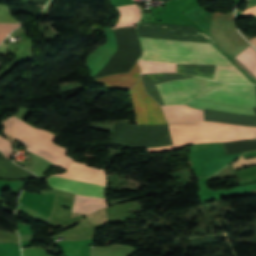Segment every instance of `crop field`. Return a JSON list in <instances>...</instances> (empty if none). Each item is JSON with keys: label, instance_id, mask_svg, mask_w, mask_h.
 Returning <instances> with one entry per match:
<instances>
[{"label": "crop field", "instance_id": "crop-field-5", "mask_svg": "<svg viewBox=\"0 0 256 256\" xmlns=\"http://www.w3.org/2000/svg\"><path fill=\"white\" fill-rule=\"evenodd\" d=\"M253 85L225 84L205 92L198 99L256 109Z\"/></svg>", "mask_w": 256, "mask_h": 256}, {"label": "crop field", "instance_id": "crop-field-6", "mask_svg": "<svg viewBox=\"0 0 256 256\" xmlns=\"http://www.w3.org/2000/svg\"><path fill=\"white\" fill-rule=\"evenodd\" d=\"M57 177H49L47 180L48 185L55 189L63 190L74 194L107 198L106 186L91 183H83Z\"/></svg>", "mask_w": 256, "mask_h": 256}, {"label": "crop field", "instance_id": "crop-field-14", "mask_svg": "<svg viewBox=\"0 0 256 256\" xmlns=\"http://www.w3.org/2000/svg\"><path fill=\"white\" fill-rule=\"evenodd\" d=\"M0 54H2V55H4V56L7 57V55H8L7 44L2 43V44L0 45Z\"/></svg>", "mask_w": 256, "mask_h": 256}, {"label": "crop field", "instance_id": "crop-field-7", "mask_svg": "<svg viewBox=\"0 0 256 256\" xmlns=\"http://www.w3.org/2000/svg\"><path fill=\"white\" fill-rule=\"evenodd\" d=\"M140 75L141 72L136 62L128 73L113 74L94 81L103 83L106 89H131Z\"/></svg>", "mask_w": 256, "mask_h": 256}, {"label": "crop field", "instance_id": "crop-field-12", "mask_svg": "<svg viewBox=\"0 0 256 256\" xmlns=\"http://www.w3.org/2000/svg\"><path fill=\"white\" fill-rule=\"evenodd\" d=\"M233 165L235 170L246 165H256V157L244 159L243 156H241L239 159L233 162Z\"/></svg>", "mask_w": 256, "mask_h": 256}, {"label": "crop field", "instance_id": "crop-field-9", "mask_svg": "<svg viewBox=\"0 0 256 256\" xmlns=\"http://www.w3.org/2000/svg\"><path fill=\"white\" fill-rule=\"evenodd\" d=\"M106 206V199L76 195L72 211L88 214Z\"/></svg>", "mask_w": 256, "mask_h": 256}, {"label": "crop field", "instance_id": "crop-field-1", "mask_svg": "<svg viewBox=\"0 0 256 256\" xmlns=\"http://www.w3.org/2000/svg\"><path fill=\"white\" fill-rule=\"evenodd\" d=\"M223 82L211 81L205 78H194L169 81L158 85L159 92L165 105L185 104L191 98L203 94ZM137 124H196V120H203L202 110L186 105L161 106L149 97L145 91L141 78L130 90Z\"/></svg>", "mask_w": 256, "mask_h": 256}, {"label": "crop field", "instance_id": "crop-field-4", "mask_svg": "<svg viewBox=\"0 0 256 256\" xmlns=\"http://www.w3.org/2000/svg\"><path fill=\"white\" fill-rule=\"evenodd\" d=\"M3 127L5 133L23 143L27 151L33 152L65 170L72 164L73 160L65 155L67 150L53 143L55 134L35 129L14 116L5 119Z\"/></svg>", "mask_w": 256, "mask_h": 256}, {"label": "crop field", "instance_id": "crop-field-3", "mask_svg": "<svg viewBox=\"0 0 256 256\" xmlns=\"http://www.w3.org/2000/svg\"><path fill=\"white\" fill-rule=\"evenodd\" d=\"M173 145L147 148V151L164 152L190 143L222 142L254 138L256 127L197 121V125H169Z\"/></svg>", "mask_w": 256, "mask_h": 256}, {"label": "crop field", "instance_id": "crop-field-2", "mask_svg": "<svg viewBox=\"0 0 256 256\" xmlns=\"http://www.w3.org/2000/svg\"><path fill=\"white\" fill-rule=\"evenodd\" d=\"M143 60L172 63L232 65L211 44L140 37ZM139 60L142 73L175 72L176 64ZM215 80L233 83H251L234 66H217Z\"/></svg>", "mask_w": 256, "mask_h": 256}, {"label": "crop field", "instance_id": "crop-field-13", "mask_svg": "<svg viewBox=\"0 0 256 256\" xmlns=\"http://www.w3.org/2000/svg\"><path fill=\"white\" fill-rule=\"evenodd\" d=\"M0 150L8 157L10 158L12 154V147L11 143L7 141L4 137L0 135Z\"/></svg>", "mask_w": 256, "mask_h": 256}, {"label": "crop field", "instance_id": "crop-field-11", "mask_svg": "<svg viewBox=\"0 0 256 256\" xmlns=\"http://www.w3.org/2000/svg\"><path fill=\"white\" fill-rule=\"evenodd\" d=\"M235 59L256 76V52L250 46L237 55Z\"/></svg>", "mask_w": 256, "mask_h": 256}, {"label": "crop field", "instance_id": "crop-field-8", "mask_svg": "<svg viewBox=\"0 0 256 256\" xmlns=\"http://www.w3.org/2000/svg\"><path fill=\"white\" fill-rule=\"evenodd\" d=\"M188 105L198 109H206V110H213V111L256 116L255 110L239 108V107L229 106V105L220 104V103H210V102L201 101L197 99H193L192 101L188 102ZM255 138H256V135H255Z\"/></svg>", "mask_w": 256, "mask_h": 256}, {"label": "crop field", "instance_id": "crop-field-16", "mask_svg": "<svg viewBox=\"0 0 256 256\" xmlns=\"http://www.w3.org/2000/svg\"><path fill=\"white\" fill-rule=\"evenodd\" d=\"M22 2H28V3H44L46 4L48 0H20Z\"/></svg>", "mask_w": 256, "mask_h": 256}, {"label": "crop field", "instance_id": "crop-field-15", "mask_svg": "<svg viewBox=\"0 0 256 256\" xmlns=\"http://www.w3.org/2000/svg\"><path fill=\"white\" fill-rule=\"evenodd\" d=\"M244 15H256V6L253 8H250L246 11H243Z\"/></svg>", "mask_w": 256, "mask_h": 256}, {"label": "crop field", "instance_id": "crop-field-10", "mask_svg": "<svg viewBox=\"0 0 256 256\" xmlns=\"http://www.w3.org/2000/svg\"><path fill=\"white\" fill-rule=\"evenodd\" d=\"M118 9L120 16L115 28L136 24L140 17V11L136 5L122 6L118 7Z\"/></svg>", "mask_w": 256, "mask_h": 256}, {"label": "crop field", "instance_id": "crop-field-17", "mask_svg": "<svg viewBox=\"0 0 256 256\" xmlns=\"http://www.w3.org/2000/svg\"><path fill=\"white\" fill-rule=\"evenodd\" d=\"M256 47V37L254 36L253 39L250 41Z\"/></svg>", "mask_w": 256, "mask_h": 256}]
</instances>
